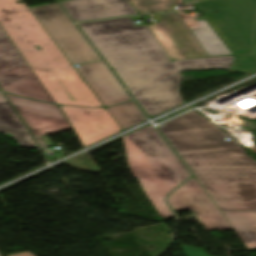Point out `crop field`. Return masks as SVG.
I'll return each mask as SVG.
<instances>
[{
    "instance_id": "f4fd0767",
    "label": "crop field",
    "mask_w": 256,
    "mask_h": 256,
    "mask_svg": "<svg viewBox=\"0 0 256 256\" xmlns=\"http://www.w3.org/2000/svg\"><path fill=\"white\" fill-rule=\"evenodd\" d=\"M111 68L171 61L147 25L130 18L78 24Z\"/></svg>"
},
{
    "instance_id": "dd49c442",
    "label": "crop field",
    "mask_w": 256,
    "mask_h": 256,
    "mask_svg": "<svg viewBox=\"0 0 256 256\" xmlns=\"http://www.w3.org/2000/svg\"><path fill=\"white\" fill-rule=\"evenodd\" d=\"M195 6L206 11L200 12L229 49L255 46L256 0H214Z\"/></svg>"
},
{
    "instance_id": "92a150f3",
    "label": "crop field",
    "mask_w": 256,
    "mask_h": 256,
    "mask_svg": "<svg viewBox=\"0 0 256 256\" xmlns=\"http://www.w3.org/2000/svg\"><path fill=\"white\" fill-rule=\"evenodd\" d=\"M235 56L237 57H246L255 55V47L252 49H241V50H232Z\"/></svg>"
},
{
    "instance_id": "00972430",
    "label": "crop field",
    "mask_w": 256,
    "mask_h": 256,
    "mask_svg": "<svg viewBox=\"0 0 256 256\" xmlns=\"http://www.w3.org/2000/svg\"><path fill=\"white\" fill-rule=\"evenodd\" d=\"M5 36H6V34L4 33V31L2 30V28L0 26V37H5Z\"/></svg>"
},
{
    "instance_id": "214f88e0",
    "label": "crop field",
    "mask_w": 256,
    "mask_h": 256,
    "mask_svg": "<svg viewBox=\"0 0 256 256\" xmlns=\"http://www.w3.org/2000/svg\"><path fill=\"white\" fill-rule=\"evenodd\" d=\"M180 246L188 256H208L207 252L203 250H199V249L185 246V245H180Z\"/></svg>"
},
{
    "instance_id": "733c2abd",
    "label": "crop field",
    "mask_w": 256,
    "mask_h": 256,
    "mask_svg": "<svg viewBox=\"0 0 256 256\" xmlns=\"http://www.w3.org/2000/svg\"><path fill=\"white\" fill-rule=\"evenodd\" d=\"M107 110L119 124L122 130L146 121L143 113L133 101L107 107Z\"/></svg>"
},
{
    "instance_id": "d8731c3e",
    "label": "crop field",
    "mask_w": 256,
    "mask_h": 256,
    "mask_svg": "<svg viewBox=\"0 0 256 256\" xmlns=\"http://www.w3.org/2000/svg\"><path fill=\"white\" fill-rule=\"evenodd\" d=\"M0 86L5 92L55 104L9 37L0 38Z\"/></svg>"
},
{
    "instance_id": "34b2d1b8",
    "label": "crop field",
    "mask_w": 256,
    "mask_h": 256,
    "mask_svg": "<svg viewBox=\"0 0 256 256\" xmlns=\"http://www.w3.org/2000/svg\"><path fill=\"white\" fill-rule=\"evenodd\" d=\"M128 166L162 219L174 215L165 196L189 177L152 125L123 137Z\"/></svg>"
},
{
    "instance_id": "8a807250",
    "label": "crop field",
    "mask_w": 256,
    "mask_h": 256,
    "mask_svg": "<svg viewBox=\"0 0 256 256\" xmlns=\"http://www.w3.org/2000/svg\"><path fill=\"white\" fill-rule=\"evenodd\" d=\"M157 128L220 211L256 210V161L235 139L194 110Z\"/></svg>"
},
{
    "instance_id": "22f410ed",
    "label": "crop field",
    "mask_w": 256,
    "mask_h": 256,
    "mask_svg": "<svg viewBox=\"0 0 256 256\" xmlns=\"http://www.w3.org/2000/svg\"><path fill=\"white\" fill-rule=\"evenodd\" d=\"M76 69L105 107L131 100L102 61L82 64Z\"/></svg>"
},
{
    "instance_id": "bc2a9ffb",
    "label": "crop field",
    "mask_w": 256,
    "mask_h": 256,
    "mask_svg": "<svg viewBox=\"0 0 256 256\" xmlns=\"http://www.w3.org/2000/svg\"><path fill=\"white\" fill-rule=\"evenodd\" d=\"M231 71L254 73L256 72V57L237 58Z\"/></svg>"
},
{
    "instance_id": "5142ce71",
    "label": "crop field",
    "mask_w": 256,
    "mask_h": 256,
    "mask_svg": "<svg viewBox=\"0 0 256 256\" xmlns=\"http://www.w3.org/2000/svg\"><path fill=\"white\" fill-rule=\"evenodd\" d=\"M0 132L12 133L19 145L38 148L2 92H0Z\"/></svg>"
},
{
    "instance_id": "4a817a6b",
    "label": "crop field",
    "mask_w": 256,
    "mask_h": 256,
    "mask_svg": "<svg viewBox=\"0 0 256 256\" xmlns=\"http://www.w3.org/2000/svg\"><path fill=\"white\" fill-rule=\"evenodd\" d=\"M139 14L172 11L176 0H130Z\"/></svg>"
},
{
    "instance_id": "ac0d7876",
    "label": "crop field",
    "mask_w": 256,
    "mask_h": 256,
    "mask_svg": "<svg viewBox=\"0 0 256 256\" xmlns=\"http://www.w3.org/2000/svg\"><path fill=\"white\" fill-rule=\"evenodd\" d=\"M17 1L22 0H0V25L56 104L104 107L26 4Z\"/></svg>"
},
{
    "instance_id": "412701ff",
    "label": "crop field",
    "mask_w": 256,
    "mask_h": 256,
    "mask_svg": "<svg viewBox=\"0 0 256 256\" xmlns=\"http://www.w3.org/2000/svg\"><path fill=\"white\" fill-rule=\"evenodd\" d=\"M235 57L183 60L171 64L149 65L114 70L149 118L183 104L179 71L229 70Z\"/></svg>"
},
{
    "instance_id": "e52e79f7",
    "label": "crop field",
    "mask_w": 256,
    "mask_h": 256,
    "mask_svg": "<svg viewBox=\"0 0 256 256\" xmlns=\"http://www.w3.org/2000/svg\"><path fill=\"white\" fill-rule=\"evenodd\" d=\"M30 9L72 64L100 60L57 3Z\"/></svg>"
},
{
    "instance_id": "3316defc",
    "label": "crop field",
    "mask_w": 256,
    "mask_h": 256,
    "mask_svg": "<svg viewBox=\"0 0 256 256\" xmlns=\"http://www.w3.org/2000/svg\"><path fill=\"white\" fill-rule=\"evenodd\" d=\"M168 201L174 211L190 209L208 230L233 229L195 177L172 193Z\"/></svg>"
},
{
    "instance_id": "dafd665d",
    "label": "crop field",
    "mask_w": 256,
    "mask_h": 256,
    "mask_svg": "<svg viewBox=\"0 0 256 256\" xmlns=\"http://www.w3.org/2000/svg\"><path fill=\"white\" fill-rule=\"evenodd\" d=\"M11 256H35L30 252H25V253H21V254H16V255H11Z\"/></svg>"
},
{
    "instance_id": "d1516ede",
    "label": "crop field",
    "mask_w": 256,
    "mask_h": 256,
    "mask_svg": "<svg viewBox=\"0 0 256 256\" xmlns=\"http://www.w3.org/2000/svg\"><path fill=\"white\" fill-rule=\"evenodd\" d=\"M6 95L28 124L34 136L71 128L57 105Z\"/></svg>"
},
{
    "instance_id": "d9b57169",
    "label": "crop field",
    "mask_w": 256,
    "mask_h": 256,
    "mask_svg": "<svg viewBox=\"0 0 256 256\" xmlns=\"http://www.w3.org/2000/svg\"><path fill=\"white\" fill-rule=\"evenodd\" d=\"M222 213L247 248L256 247V211Z\"/></svg>"
},
{
    "instance_id": "cbeb9de0",
    "label": "crop field",
    "mask_w": 256,
    "mask_h": 256,
    "mask_svg": "<svg viewBox=\"0 0 256 256\" xmlns=\"http://www.w3.org/2000/svg\"><path fill=\"white\" fill-rule=\"evenodd\" d=\"M62 6L75 22L138 14L129 0H71Z\"/></svg>"
},
{
    "instance_id": "a9b5d70f",
    "label": "crop field",
    "mask_w": 256,
    "mask_h": 256,
    "mask_svg": "<svg viewBox=\"0 0 256 256\" xmlns=\"http://www.w3.org/2000/svg\"><path fill=\"white\" fill-rule=\"evenodd\" d=\"M191 1L192 3H194V2L203 1V0H191Z\"/></svg>"
},
{
    "instance_id": "28ad6ade",
    "label": "crop field",
    "mask_w": 256,
    "mask_h": 256,
    "mask_svg": "<svg viewBox=\"0 0 256 256\" xmlns=\"http://www.w3.org/2000/svg\"><path fill=\"white\" fill-rule=\"evenodd\" d=\"M85 147L121 131L105 109L61 106Z\"/></svg>"
},
{
    "instance_id": "5a996713",
    "label": "crop field",
    "mask_w": 256,
    "mask_h": 256,
    "mask_svg": "<svg viewBox=\"0 0 256 256\" xmlns=\"http://www.w3.org/2000/svg\"><path fill=\"white\" fill-rule=\"evenodd\" d=\"M156 17L160 23L148 27L171 60L208 56L178 12L158 14Z\"/></svg>"
}]
</instances>
